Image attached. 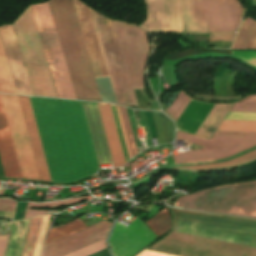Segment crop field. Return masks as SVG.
<instances>
[{
	"label": "crop field",
	"instance_id": "obj_9",
	"mask_svg": "<svg viewBox=\"0 0 256 256\" xmlns=\"http://www.w3.org/2000/svg\"><path fill=\"white\" fill-rule=\"evenodd\" d=\"M177 139L203 145L201 150L172 155L176 164L217 160L230 157L256 145V136L213 135L210 140L177 132Z\"/></svg>",
	"mask_w": 256,
	"mask_h": 256
},
{
	"label": "crop field",
	"instance_id": "obj_41",
	"mask_svg": "<svg viewBox=\"0 0 256 256\" xmlns=\"http://www.w3.org/2000/svg\"><path fill=\"white\" fill-rule=\"evenodd\" d=\"M240 102L256 103V95L248 96L245 99L241 100Z\"/></svg>",
	"mask_w": 256,
	"mask_h": 256
},
{
	"label": "crop field",
	"instance_id": "obj_5",
	"mask_svg": "<svg viewBox=\"0 0 256 256\" xmlns=\"http://www.w3.org/2000/svg\"><path fill=\"white\" fill-rule=\"evenodd\" d=\"M13 26L34 94L58 98L31 7L22 14Z\"/></svg>",
	"mask_w": 256,
	"mask_h": 256
},
{
	"label": "crop field",
	"instance_id": "obj_36",
	"mask_svg": "<svg viewBox=\"0 0 256 256\" xmlns=\"http://www.w3.org/2000/svg\"><path fill=\"white\" fill-rule=\"evenodd\" d=\"M116 110H117V114H118V117H119L120 125H121V128H122L123 136H124V139H125L126 147H127V150H128L129 158H131L132 155H131L130 147H129V144H128L127 136H126V133H125V129H124V126H123V122H122V118H121L118 106H116Z\"/></svg>",
	"mask_w": 256,
	"mask_h": 256
},
{
	"label": "crop field",
	"instance_id": "obj_16",
	"mask_svg": "<svg viewBox=\"0 0 256 256\" xmlns=\"http://www.w3.org/2000/svg\"><path fill=\"white\" fill-rule=\"evenodd\" d=\"M0 157L6 176L21 177L16 154L0 99Z\"/></svg>",
	"mask_w": 256,
	"mask_h": 256
},
{
	"label": "crop field",
	"instance_id": "obj_3",
	"mask_svg": "<svg viewBox=\"0 0 256 256\" xmlns=\"http://www.w3.org/2000/svg\"><path fill=\"white\" fill-rule=\"evenodd\" d=\"M210 32L236 31L243 7L238 0H201ZM200 0H177L187 33L209 32Z\"/></svg>",
	"mask_w": 256,
	"mask_h": 256
},
{
	"label": "crop field",
	"instance_id": "obj_25",
	"mask_svg": "<svg viewBox=\"0 0 256 256\" xmlns=\"http://www.w3.org/2000/svg\"><path fill=\"white\" fill-rule=\"evenodd\" d=\"M41 217L32 218L30 220L26 240L24 243L23 251L21 256H32Z\"/></svg>",
	"mask_w": 256,
	"mask_h": 256
},
{
	"label": "crop field",
	"instance_id": "obj_19",
	"mask_svg": "<svg viewBox=\"0 0 256 256\" xmlns=\"http://www.w3.org/2000/svg\"><path fill=\"white\" fill-rule=\"evenodd\" d=\"M232 104H215L207 118L204 120L197 135L210 137L215 128L218 126L224 115L227 113Z\"/></svg>",
	"mask_w": 256,
	"mask_h": 256
},
{
	"label": "crop field",
	"instance_id": "obj_18",
	"mask_svg": "<svg viewBox=\"0 0 256 256\" xmlns=\"http://www.w3.org/2000/svg\"><path fill=\"white\" fill-rule=\"evenodd\" d=\"M113 159L114 167H121L125 164L114 120L109 104L97 103Z\"/></svg>",
	"mask_w": 256,
	"mask_h": 256
},
{
	"label": "crop field",
	"instance_id": "obj_39",
	"mask_svg": "<svg viewBox=\"0 0 256 256\" xmlns=\"http://www.w3.org/2000/svg\"><path fill=\"white\" fill-rule=\"evenodd\" d=\"M8 234L0 236V256H4Z\"/></svg>",
	"mask_w": 256,
	"mask_h": 256
},
{
	"label": "crop field",
	"instance_id": "obj_23",
	"mask_svg": "<svg viewBox=\"0 0 256 256\" xmlns=\"http://www.w3.org/2000/svg\"><path fill=\"white\" fill-rule=\"evenodd\" d=\"M146 223L158 236L167 233L171 227V215L168 208L163 210L161 213H159Z\"/></svg>",
	"mask_w": 256,
	"mask_h": 256
},
{
	"label": "crop field",
	"instance_id": "obj_40",
	"mask_svg": "<svg viewBox=\"0 0 256 256\" xmlns=\"http://www.w3.org/2000/svg\"><path fill=\"white\" fill-rule=\"evenodd\" d=\"M138 256H170V255H165V254H160V253H155V252H149V251H143Z\"/></svg>",
	"mask_w": 256,
	"mask_h": 256
},
{
	"label": "crop field",
	"instance_id": "obj_10",
	"mask_svg": "<svg viewBox=\"0 0 256 256\" xmlns=\"http://www.w3.org/2000/svg\"><path fill=\"white\" fill-rule=\"evenodd\" d=\"M17 154L22 177L39 179L18 97L0 94Z\"/></svg>",
	"mask_w": 256,
	"mask_h": 256
},
{
	"label": "crop field",
	"instance_id": "obj_12",
	"mask_svg": "<svg viewBox=\"0 0 256 256\" xmlns=\"http://www.w3.org/2000/svg\"><path fill=\"white\" fill-rule=\"evenodd\" d=\"M126 227L117 222L110 237L114 256H134L158 238L137 218Z\"/></svg>",
	"mask_w": 256,
	"mask_h": 256
},
{
	"label": "crop field",
	"instance_id": "obj_14",
	"mask_svg": "<svg viewBox=\"0 0 256 256\" xmlns=\"http://www.w3.org/2000/svg\"><path fill=\"white\" fill-rule=\"evenodd\" d=\"M0 39L16 93L34 95L12 25L0 27Z\"/></svg>",
	"mask_w": 256,
	"mask_h": 256
},
{
	"label": "crop field",
	"instance_id": "obj_17",
	"mask_svg": "<svg viewBox=\"0 0 256 256\" xmlns=\"http://www.w3.org/2000/svg\"><path fill=\"white\" fill-rule=\"evenodd\" d=\"M214 104L195 101L189 103L185 111L176 122L178 130L195 134Z\"/></svg>",
	"mask_w": 256,
	"mask_h": 256
},
{
	"label": "crop field",
	"instance_id": "obj_28",
	"mask_svg": "<svg viewBox=\"0 0 256 256\" xmlns=\"http://www.w3.org/2000/svg\"><path fill=\"white\" fill-rule=\"evenodd\" d=\"M217 130L256 131V121L223 120Z\"/></svg>",
	"mask_w": 256,
	"mask_h": 256
},
{
	"label": "crop field",
	"instance_id": "obj_24",
	"mask_svg": "<svg viewBox=\"0 0 256 256\" xmlns=\"http://www.w3.org/2000/svg\"><path fill=\"white\" fill-rule=\"evenodd\" d=\"M0 92L16 94L1 43H0Z\"/></svg>",
	"mask_w": 256,
	"mask_h": 256
},
{
	"label": "crop field",
	"instance_id": "obj_35",
	"mask_svg": "<svg viewBox=\"0 0 256 256\" xmlns=\"http://www.w3.org/2000/svg\"><path fill=\"white\" fill-rule=\"evenodd\" d=\"M235 33L210 34V41L232 40Z\"/></svg>",
	"mask_w": 256,
	"mask_h": 256
},
{
	"label": "crop field",
	"instance_id": "obj_37",
	"mask_svg": "<svg viewBox=\"0 0 256 256\" xmlns=\"http://www.w3.org/2000/svg\"><path fill=\"white\" fill-rule=\"evenodd\" d=\"M215 134H228V135H256V132H230V131H216Z\"/></svg>",
	"mask_w": 256,
	"mask_h": 256
},
{
	"label": "crop field",
	"instance_id": "obj_8",
	"mask_svg": "<svg viewBox=\"0 0 256 256\" xmlns=\"http://www.w3.org/2000/svg\"><path fill=\"white\" fill-rule=\"evenodd\" d=\"M148 250L180 256H256V249L172 232Z\"/></svg>",
	"mask_w": 256,
	"mask_h": 256
},
{
	"label": "crop field",
	"instance_id": "obj_32",
	"mask_svg": "<svg viewBox=\"0 0 256 256\" xmlns=\"http://www.w3.org/2000/svg\"><path fill=\"white\" fill-rule=\"evenodd\" d=\"M110 105H111L112 113H113V116H114L115 124H116V127H117V131H118V134H119L120 142H121V145H122L124 157L128 158L125 143H124L122 132H121V128H120L118 117H117V114H116L115 106L112 105V104H110Z\"/></svg>",
	"mask_w": 256,
	"mask_h": 256
},
{
	"label": "crop field",
	"instance_id": "obj_21",
	"mask_svg": "<svg viewBox=\"0 0 256 256\" xmlns=\"http://www.w3.org/2000/svg\"><path fill=\"white\" fill-rule=\"evenodd\" d=\"M206 52H217V53L229 54V55H232V53H233V55L238 56L256 66V52H253V51H232V53H231V51H221V50L189 49V50L177 53V54L170 55L166 59L177 60V59L191 56L194 54H200V53H206Z\"/></svg>",
	"mask_w": 256,
	"mask_h": 256
},
{
	"label": "crop field",
	"instance_id": "obj_15",
	"mask_svg": "<svg viewBox=\"0 0 256 256\" xmlns=\"http://www.w3.org/2000/svg\"><path fill=\"white\" fill-rule=\"evenodd\" d=\"M72 3L94 73V77L98 78L108 76L88 12V8L78 0H72Z\"/></svg>",
	"mask_w": 256,
	"mask_h": 256
},
{
	"label": "crop field",
	"instance_id": "obj_2",
	"mask_svg": "<svg viewBox=\"0 0 256 256\" xmlns=\"http://www.w3.org/2000/svg\"><path fill=\"white\" fill-rule=\"evenodd\" d=\"M48 3L76 98L101 102L71 0Z\"/></svg>",
	"mask_w": 256,
	"mask_h": 256
},
{
	"label": "crop field",
	"instance_id": "obj_38",
	"mask_svg": "<svg viewBox=\"0 0 256 256\" xmlns=\"http://www.w3.org/2000/svg\"><path fill=\"white\" fill-rule=\"evenodd\" d=\"M246 49H256V25Z\"/></svg>",
	"mask_w": 256,
	"mask_h": 256
},
{
	"label": "crop field",
	"instance_id": "obj_29",
	"mask_svg": "<svg viewBox=\"0 0 256 256\" xmlns=\"http://www.w3.org/2000/svg\"><path fill=\"white\" fill-rule=\"evenodd\" d=\"M190 101L191 98H189L184 92L180 91L170 107L165 111L176 121Z\"/></svg>",
	"mask_w": 256,
	"mask_h": 256
},
{
	"label": "crop field",
	"instance_id": "obj_31",
	"mask_svg": "<svg viewBox=\"0 0 256 256\" xmlns=\"http://www.w3.org/2000/svg\"><path fill=\"white\" fill-rule=\"evenodd\" d=\"M120 111H121V115H122V118H123L126 133H127V136H128V140H129V144H130V147H131L132 155L134 156V155L138 154V152H137V148H136L135 141H134V138H133V134H132V130H131V127H130L129 120H128V116H127V113H126V109L124 107H120Z\"/></svg>",
	"mask_w": 256,
	"mask_h": 256
},
{
	"label": "crop field",
	"instance_id": "obj_1",
	"mask_svg": "<svg viewBox=\"0 0 256 256\" xmlns=\"http://www.w3.org/2000/svg\"><path fill=\"white\" fill-rule=\"evenodd\" d=\"M40 179L74 182L98 168L80 102L18 96Z\"/></svg>",
	"mask_w": 256,
	"mask_h": 256
},
{
	"label": "crop field",
	"instance_id": "obj_22",
	"mask_svg": "<svg viewBox=\"0 0 256 256\" xmlns=\"http://www.w3.org/2000/svg\"><path fill=\"white\" fill-rule=\"evenodd\" d=\"M84 227H86V225L84 223H82L79 219H77V220L72 221V222H70L68 224H65L63 226L50 229L47 233L45 244H47L49 242H52L56 239H59L63 236H66V235H68L72 232H75L79 229H82Z\"/></svg>",
	"mask_w": 256,
	"mask_h": 256
},
{
	"label": "crop field",
	"instance_id": "obj_30",
	"mask_svg": "<svg viewBox=\"0 0 256 256\" xmlns=\"http://www.w3.org/2000/svg\"><path fill=\"white\" fill-rule=\"evenodd\" d=\"M105 239H103L101 241H98V242H96L94 244H91V245H89L87 247H84V248H82L80 250H77V251H75L73 253L65 255V256H87L89 254H92V253H94L96 251H99V250H101V249L106 247Z\"/></svg>",
	"mask_w": 256,
	"mask_h": 256
},
{
	"label": "crop field",
	"instance_id": "obj_33",
	"mask_svg": "<svg viewBox=\"0 0 256 256\" xmlns=\"http://www.w3.org/2000/svg\"><path fill=\"white\" fill-rule=\"evenodd\" d=\"M230 111L256 112V104L235 103Z\"/></svg>",
	"mask_w": 256,
	"mask_h": 256
},
{
	"label": "crop field",
	"instance_id": "obj_20",
	"mask_svg": "<svg viewBox=\"0 0 256 256\" xmlns=\"http://www.w3.org/2000/svg\"><path fill=\"white\" fill-rule=\"evenodd\" d=\"M256 160V150L229 160L223 163L217 164H209V165H198V166H188V167H177L176 169H191L193 171L199 170H215V169H223L229 167L239 166L241 164L249 163Z\"/></svg>",
	"mask_w": 256,
	"mask_h": 256
},
{
	"label": "crop field",
	"instance_id": "obj_7",
	"mask_svg": "<svg viewBox=\"0 0 256 256\" xmlns=\"http://www.w3.org/2000/svg\"><path fill=\"white\" fill-rule=\"evenodd\" d=\"M59 98L76 99L48 3L31 6Z\"/></svg>",
	"mask_w": 256,
	"mask_h": 256
},
{
	"label": "crop field",
	"instance_id": "obj_34",
	"mask_svg": "<svg viewBox=\"0 0 256 256\" xmlns=\"http://www.w3.org/2000/svg\"><path fill=\"white\" fill-rule=\"evenodd\" d=\"M15 203L16 202L11 199H0V210L13 211Z\"/></svg>",
	"mask_w": 256,
	"mask_h": 256
},
{
	"label": "crop field",
	"instance_id": "obj_4",
	"mask_svg": "<svg viewBox=\"0 0 256 256\" xmlns=\"http://www.w3.org/2000/svg\"><path fill=\"white\" fill-rule=\"evenodd\" d=\"M175 206L256 217V182L232 184L181 196Z\"/></svg>",
	"mask_w": 256,
	"mask_h": 256
},
{
	"label": "crop field",
	"instance_id": "obj_26",
	"mask_svg": "<svg viewBox=\"0 0 256 256\" xmlns=\"http://www.w3.org/2000/svg\"><path fill=\"white\" fill-rule=\"evenodd\" d=\"M255 23L256 21L250 18H247L244 22H242L237 32L232 48H240V49L246 48Z\"/></svg>",
	"mask_w": 256,
	"mask_h": 256
},
{
	"label": "crop field",
	"instance_id": "obj_13",
	"mask_svg": "<svg viewBox=\"0 0 256 256\" xmlns=\"http://www.w3.org/2000/svg\"><path fill=\"white\" fill-rule=\"evenodd\" d=\"M111 223L101 221L44 246L42 256H63L107 236Z\"/></svg>",
	"mask_w": 256,
	"mask_h": 256
},
{
	"label": "crop field",
	"instance_id": "obj_27",
	"mask_svg": "<svg viewBox=\"0 0 256 256\" xmlns=\"http://www.w3.org/2000/svg\"><path fill=\"white\" fill-rule=\"evenodd\" d=\"M86 199L87 197L84 196V197L72 198V199H68L60 202L43 203V204H35V203L28 202L24 218L47 213L46 211L29 210L30 207H55V206H61L66 204L80 203Z\"/></svg>",
	"mask_w": 256,
	"mask_h": 256
},
{
	"label": "crop field",
	"instance_id": "obj_11",
	"mask_svg": "<svg viewBox=\"0 0 256 256\" xmlns=\"http://www.w3.org/2000/svg\"><path fill=\"white\" fill-rule=\"evenodd\" d=\"M114 25L133 88L143 89V67L149 51L146 34L134 26L118 22H114Z\"/></svg>",
	"mask_w": 256,
	"mask_h": 256
},
{
	"label": "crop field",
	"instance_id": "obj_6",
	"mask_svg": "<svg viewBox=\"0 0 256 256\" xmlns=\"http://www.w3.org/2000/svg\"><path fill=\"white\" fill-rule=\"evenodd\" d=\"M89 11L116 102L123 105L137 106L113 22L90 8Z\"/></svg>",
	"mask_w": 256,
	"mask_h": 256
}]
</instances>
